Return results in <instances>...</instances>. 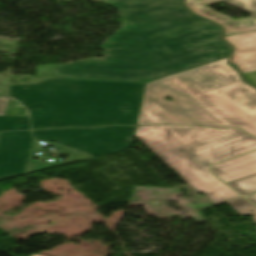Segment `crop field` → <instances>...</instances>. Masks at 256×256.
Wrapping results in <instances>:
<instances>
[{
    "instance_id": "obj_1",
    "label": "crop field",
    "mask_w": 256,
    "mask_h": 256,
    "mask_svg": "<svg viewBox=\"0 0 256 256\" xmlns=\"http://www.w3.org/2000/svg\"><path fill=\"white\" fill-rule=\"evenodd\" d=\"M124 25L101 46L102 59L54 66V78L147 83L230 55L218 25L182 0H109Z\"/></svg>"
},
{
    "instance_id": "obj_2",
    "label": "crop field",
    "mask_w": 256,
    "mask_h": 256,
    "mask_svg": "<svg viewBox=\"0 0 256 256\" xmlns=\"http://www.w3.org/2000/svg\"><path fill=\"white\" fill-rule=\"evenodd\" d=\"M225 60L148 83L138 124L241 127L256 136V90Z\"/></svg>"
},
{
    "instance_id": "obj_3",
    "label": "crop field",
    "mask_w": 256,
    "mask_h": 256,
    "mask_svg": "<svg viewBox=\"0 0 256 256\" xmlns=\"http://www.w3.org/2000/svg\"><path fill=\"white\" fill-rule=\"evenodd\" d=\"M146 84L50 79L10 86L31 112L33 129L137 124Z\"/></svg>"
},
{
    "instance_id": "obj_4",
    "label": "crop field",
    "mask_w": 256,
    "mask_h": 256,
    "mask_svg": "<svg viewBox=\"0 0 256 256\" xmlns=\"http://www.w3.org/2000/svg\"><path fill=\"white\" fill-rule=\"evenodd\" d=\"M135 137L214 205L241 197L215 178L208 166L255 150L256 138L240 129L204 126H137Z\"/></svg>"
},
{
    "instance_id": "obj_5",
    "label": "crop field",
    "mask_w": 256,
    "mask_h": 256,
    "mask_svg": "<svg viewBox=\"0 0 256 256\" xmlns=\"http://www.w3.org/2000/svg\"><path fill=\"white\" fill-rule=\"evenodd\" d=\"M136 127H104L93 129H61L33 131L37 140H46L83 150L92 156H103L132 146Z\"/></svg>"
},
{
    "instance_id": "obj_6",
    "label": "crop field",
    "mask_w": 256,
    "mask_h": 256,
    "mask_svg": "<svg viewBox=\"0 0 256 256\" xmlns=\"http://www.w3.org/2000/svg\"><path fill=\"white\" fill-rule=\"evenodd\" d=\"M35 151L43 149L31 137L30 132L1 133L0 180L65 165L60 161H54L50 165L44 164L43 160L35 155ZM32 155L37 156L40 161L32 160Z\"/></svg>"
},
{
    "instance_id": "obj_7",
    "label": "crop field",
    "mask_w": 256,
    "mask_h": 256,
    "mask_svg": "<svg viewBox=\"0 0 256 256\" xmlns=\"http://www.w3.org/2000/svg\"><path fill=\"white\" fill-rule=\"evenodd\" d=\"M222 1L251 14L252 17L233 20L206 6ZM186 4L195 13L223 25L227 30L226 35L256 30V0H186Z\"/></svg>"
},
{
    "instance_id": "obj_8",
    "label": "crop field",
    "mask_w": 256,
    "mask_h": 256,
    "mask_svg": "<svg viewBox=\"0 0 256 256\" xmlns=\"http://www.w3.org/2000/svg\"><path fill=\"white\" fill-rule=\"evenodd\" d=\"M226 183L256 174V152L211 167Z\"/></svg>"
},
{
    "instance_id": "obj_9",
    "label": "crop field",
    "mask_w": 256,
    "mask_h": 256,
    "mask_svg": "<svg viewBox=\"0 0 256 256\" xmlns=\"http://www.w3.org/2000/svg\"><path fill=\"white\" fill-rule=\"evenodd\" d=\"M224 39L236 47L232 59L233 63L243 72L256 70V32L225 37Z\"/></svg>"
},
{
    "instance_id": "obj_10",
    "label": "crop field",
    "mask_w": 256,
    "mask_h": 256,
    "mask_svg": "<svg viewBox=\"0 0 256 256\" xmlns=\"http://www.w3.org/2000/svg\"><path fill=\"white\" fill-rule=\"evenodd\" d=\"M14 99L8 100L4 116H0V132L7 130H27L29 128L28 113L19 107Z\"/></svg>"
},
{
    "instance_id": "obj_11",
    "label": "crop field",
    "mask_w": 256,
    "mask_h": 256,
    "mask_svg": "<svg viewBox=\"0 0 256 256\" xmlns=\"http://www.w3.org/2000/svg\"><path fill=\"white\" fill-rule=\"evenodd\" d=\"M228 185L237 190L243 196L256 192V175L229 183Z\"/></svg>"
},
{
    "instance_id": "obj_12",
    "label": "crop field",
    "mask_w": 256,
    "mask_h": 256,
    "mask_svg": "<svg viewBox=\"0 0 256 256\" xmlns=\"http://www.w3.org/2000/svg\"><path fill=\"white\" fill-rule=\"evenodd\" d=\"M228 204L240 215H253V221L256 222V207L252 204H250L247 200H245L243 197L233 200L231 202H228ZM249 210L254 211V213H250Z\"/></svg>"
},
{
    "instance_id": "obj_13",
    "label": "crop field",
    "mask_w": 256,
    "mask_h": 256,
    "mask_svg": "<svg viewBox=\"0 0 256 256\" xmlns=\"http://www.w3.org/2000/svg\"><path fill=\"white\" fill-rule=\"evenodd\" d=\"M244 77L251 83L256 85V71L245 72Z\"/></svg>"
},
{
    "instance_id": "obj_14",
    "label": "crop field",
    "mask_w": 256,
    "mask_h": 256,
    "mask_svg": "<svg viewBox=\"0 0 256 256\" xmlns=\"http://www.w3.org/2000/svg\"><path fill=\"white\" fill-rule=\"evenodd\" d=\"M7 99H0V115H3Z\"/></svg>"
},
{
    "instance_id": "obj_15",
    "label": "crop field",
    "mask_w": 256,
    "mask_h": 256,
    "mask_svg": "<svg viewBox=\"0 0 256 256\" xmlns=\"http://www.w3.org/2000/svg\"><path fill=\"white\" fill-rule=\"evenodd\" d=\"M251 202H253L256 205V194L246 197Z\"/></svg>"
},
{
    "instance_id": "obj_16",
    "label": "crop field",
    "mask_w": 256,
    "mask_h": 256,
    "mask_svg": "<svg viewBox=\"0 0 256 256\" xmlns=\"http://www.w3.org/2000/svg\"><path fill=\"white\" fill-rule=\"evenodd\" d=\"M32 256H41V255H32Z\"/></svg>"
}]
</instances>
